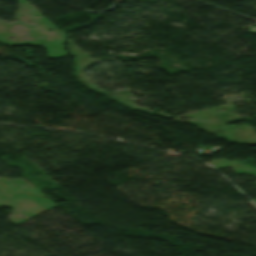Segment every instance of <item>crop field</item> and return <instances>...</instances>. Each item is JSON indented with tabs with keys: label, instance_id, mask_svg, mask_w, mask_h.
Returning <instances> with one entry per match:
<instances>
[{
	"label": "crop field",
	"instance_id": "crop-field-1",
	"mask_svg": "<svg viewBox=\"0 0 256 256\" xmlns=\"http://www.w3.org/2000/svg\"><path fill=\"white\" fill-rule=\"evenodd\" d=\"M250 32H256V27H250Z\"/></svg>",
	"mask_w": 256,
	"mask_h": 256
}]
</instances>
